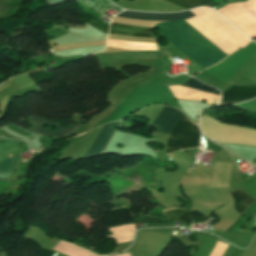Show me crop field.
Listing matches in <instances>:
<instances>
[{
    "label": "crop field",
    "instance_id": "crop-field-4",
    "mask_svg": "<svg viewBox=\"0 0 256 256\" xmlns=\"http://www.w3.org/2000/svg\"><path fill=\"white\" fill-rule=\"evenodd\" d=\"M31 117V116H29ZM32 119L30 120H23L22 121H25V122H28V123H31L34 125V127L32 129H29L35 133H38V134H41V135H44V136H52L56 139H59L61 137H64V136H67L73 132H75V130L80 126L79 124H76L74 126H70L68 128H62L61 126L57 125V124H53V123H50V122H47V121H44L40 118H37V117H31ZM47 124L49 126H57L59 130L55 131V132H52V131H48V130H45L43 129V126Z\"/></svg>",
    "mask_w": 256,
    "mask_h": 256
},
{
    "label": "crop field",
    "instance_id": "crop-field-5",
    "mask_svg": "<svg viewBox=\"0 0 256 256\" xmlns=\"http://www.w3.org/2000/svg\"><path fill=\"white\" fill-rule=\"evenodd\" d=\"M256 97V86L231 87L222 96L219 105L233 104Z\"/></svg>",
    "mask_w": 256,
    "mask_h": 256
},
{
    "label": "crop field",
    "instance_id": "crop-field-6",
    "mask_svg": "<svg viewBox=\"0 0 256 256\" xmlns=\"http://www.w3.org/2000/svg\"><path fill=\"white\" fill-rule=\"evenodd\" d=\"M120 121L104 125L103 129L98 134L95 142L92 144L91 148L88 150V152L84 155L83 158L101 155L104 147L108 143L110 137L113 135L115 128Z\"/></svg>",
    "mask_w": 256,
    "mask_h": 256
},
{
    "label": "crop field",
    "instance_id": "crop-field-8",
    "mask_svg": "<svg viewBox=\"0 0 256 256\" xmlns=\"http://www.w3.org/2000/svg\"><path fill=\"white\" fill-rule=\"evenodd\" d=\"M230 194L232 195L235 202L234 208L239 213L244 212L247 207L255 202L251 197L238 190H234L230 192Z\"/></svg>",
    "mask_w": 256,
    "mask_h": 256
},
{
    "label": "crop field",
    "instance_id": "crop-field-15",
    "mask_svg": "<svg viewBox=\"0 0 256 256\" xmlns=\"http://www.w3.org/2000/svg\"><path fill=\"white\" fill-rule=\"evenodd\" d=\"M255 208H256V206H255ZM253 216L256 218V214H253Z\"/></svg>",
    "mask_w": 256,
    "mask_h": 256
},
{
    "label": "crop field",
    "instance_id": "crop-field-11",
    "mask_svg": "<svg viewBox=\"0 0 256 256\" xmlns=\"http://www.w3.org/2000/svg\"><path fill=\"white\" fill-rule=\"evenodd\" d=\"M184 8H193L197 6H210L200 0H167ZM212 7V6H210Z\"/></svg>",
    "mask_w": 256,
    "mask_h": 256
},
{
    "label": "crop field",
    "instance_id": "crop-field-7",
    "mask_svg": "<svg viewBox=\"0 0 256 256\" xmlns=\"http://www.w3.org/2000/svg\"><path fill=\"white\" fill-rule=\"evenodd\" d=\"M53 250L66 254L68 256H98L88 250L74 246L63 241H59Z\"/></svg>",
    "mask_w": 256,
    "mask_h": 256
},
{
    "label": "crop field",
    "instance_id": "crop-field-9",
    "mask_svg": "<svg viewBox=\"0 0 256 256\" xmlns=\"http://www.w3.org/2000/svg\"><path fill=\"white\" fill-rule=\"evenodd\" d=\"M188 212L189 211L177 209V210L165 212L163 214L171 221H184V223H192V220Z\"/></svg>",
    "mask_w": 256,
    "mask_h": 256
},
{
    "label": "crop field",
    "instance_id": "crop-field-2",
    "mask_svg": "<svg viewBox=\"0 0 256 256\" xmlns=\"http://www.w3.org/2000/svg\"><path fill=\"white\" fill-rule=\"evenodd\" d=\"M202 132L217 143L256 148V130L222 124L212 117L201 115Z\"/></svg>",
    "mask_w": 256,
    "mask_h": 256
},
{
    "label": "crop field",
    "instance_id": "crop-field-3",
    "mask_svg": "<svg viewBox=\"0 0 256 256\" xmlns=\"http://www.w3.org/2000/svg\"><path fill=\"white\" fill-rule=\"evenodd\" d=\"M118 16L135 18V19H143V20H152V21H175V20L190 18L194 16V14H192L189 11L175 13V14H146V13H136V12L125 11L119 14ZM110 31L152 38L150 34V29L148 28H141V27H134V26L112 23Z\"/></svg>",
    "mask_w": 256,
    "mask_h": 256
},
{
    "label": "crop field",
    "instance_id": "crop-field-14",
    "mask_svg": "<svg viewBox=\"0 0 256 256\" xmlns=\"http://www.w3.org/2000/svg\"><path fill=\"white\" fill-rule=\"evenodd\" d=\"M202 1H204V2H206V3H208V4H210V5H211V3H210V1H209V0H202Z\"/></svg>",
    "mask_w": 256,
    "mask_h": 256
},
{
    "label": "crop field",
    "instance_id": "crop-field-10",
    "mask_svg": "<svg viewBox=\"0 0 256 256\" xmlns=\"http://www.w3.org/2000/svg\"><path fill=\"white\" fill-rule=\"evenodd\" d=\"M81 15L87 17L85 22H87L88 24L96 27L98 30L102 31V32H105L107 33L108 32V27L109 25L99 19H97L96 17L90 15V14H87L83 11H81L80 13Z\"/></svg>",
    "mask_w": 256,
    "mask_h": 256
},
{
    "label": "crop field",
    "instance_id": "crop-field-12",
    "mask_svg": "<svg viewBox=\"0 0 256 256\" xmlns=\"http://www.w3.org/2000/svg\"><path fill=\"white\" fill-rule=\"evenodd\" d=\"M184 85L220 96V92L218 90H215L209 86H206L193 78L189 80L187 83H185Z\"/></svg>",
    "mask_w": 256,
    "mask_h": 256
},
{
    "label": "crop field",
    "instance_id": "crop-field-13",
    "mask_svg": "<svg viewBox=\"0 0 256 256\" xmlns=\"http://www.w3.org/2000/svg\"><path fill=\"white\" fill-rule=\"evenodd\" d=\"M115 256H130L129 253L126 254H120V255H115Z\"/></svg>",
    "mask_w": 256,
    "mask_h": 256
},
{
    "label": "crop field",
    "instance_id": "crop-field-1",
    "mask_svg": "<svg viewBox=\"0 0 256 256\" xmlns=\"http://www.w3.org/2000/svg\"><path fill=\"white\" fill-rule=\"evenodd\" d=\"M184 118V114L179 110L165 106L158 117L154 120L152 126L158 128V132L170 135ZM199 136L200 132L198 130V126H195L186 117L170 135L167 141L166 152L169 153L179 149L198 147Z\"/></svg>",
    "mask_w": 256,
    "mask_h": 256
}]
</instances>
